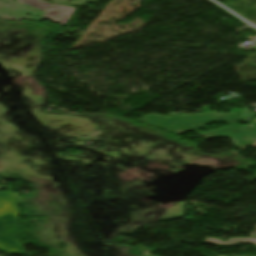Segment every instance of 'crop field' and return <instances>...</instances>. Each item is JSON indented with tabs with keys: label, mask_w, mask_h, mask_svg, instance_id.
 Returning a JSON list of instances; mask_svg holds the SVG:
<instances>
[{
	"label": "crop field",
	"mask_w": 256,
	"mask_h": 256,
	"mask_svg": "<svg viewBox=\"0 0 256 256\" xmlns=\"http://www.w3.org/2000/svg\"><path fill=\"white\" fill-rule=\"evenodd\" d=\"M249 125H255L256 126V118Z\"/></svg>",
	"instance_id": "crop-field-5"
},
{
	"label": "crop field",
	"mask_w": 256,
	"mask_h": 256,
	"mask_svg": "<svg viewBox=\"0 0 256 256\" xmlns=\"http://www.w3.org/2000/svg\"><path fill=\"white\" fill-rule=\"evenodd\" d=\"M248 127H252V129H247ZM242 133L245 137L249 138L247 141L249 143V146L252 148H256V141L253 142V140H256V127L255 126H239Z\"/></svg>",
	"instance_id": "crop-field-4"
},
{
	"label": "crop field",
	"mask_w": 256,
	"mask_h": 256,
	"mask_svg": "<svg viewBox=\"0 0 256 256\" xmlns=\"http://www.w3.org/2000/svg\"><path fill=\"white\" fill-rule=\"evenodd\" d=\"M23 4H28L29 6L39 8L42 10L47 11L42 18L47 20L59 23L61 25L66 26L74 12L76 11L75 8H70L66 6H56L52 5L40 0H17ZM59 16V19H55V17Z\"/></svg>",
	"instance_id": "crop-field-2"
},
{
	"label": "crop field",
	"mask_w": 256,
	"mask_h": 256,
	"mask_svg": "<svg viewBox=\"0 0 256 256\" xmlns=\"http://www.w3.org/2000/svg\"><path fill=\"white\" fill-rule=\"evenodd\" d=\"M204 242L211 243V244H216V245H221V246H237V244L239 242L256 244V239H253V238H232V239H229L228 242H224V241H221L219 239L207 238Z\"/></svg>",
	"instance_id": "crop-field-3"
},
{
	"label": "crop field",
	"mask_w": 256,
	"mask_h": 256,
	"mask_svg": "<svg viewBox=\"0 0 256 256\" xmlns=\"http://www.w3.org/2000/svg\"><path fill=\"white\" fill-rule=\"evenodd\" d=\"M240 113L230 114H201V115H180L172 113L171 118L158 115H148L141 119V122L153 124L176 133H183L188 130L197 129L203 125L215 121H225L233 124L232 128H224L201 134L206 140L210 138H232L236 147L244 150L248 144L243 139V134L237 126Z\"/></svg>",
	"instance_id": "crop-field-1"
}]
</instances>
